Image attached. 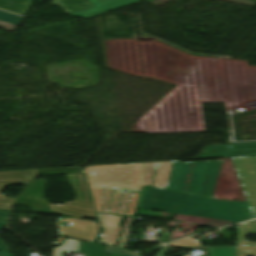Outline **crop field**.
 <instances>
[{
    "instance_id": "8a807250",
    "label": "crop field",
    "mask_w": 256,
    "mask_h": 256,
    "mask_svg": "<svg viewBox=\"0 0 256 256\" xmlns=\"http://www.w3.org/2000/svg\"><path fill=\"white\" fill-rule=\"evenodd\" d=\"M65 174L76 192V198L65 205H53L43 199L45 179L33 180L16 199L15 203L30 206L33 212L49 214V211L82 218H93L95 215L87 191L81 167L40 170L37 175Z\"/></svg>"
},
{
    "instance_id": "ac0d7876",
    "label": "crop field",
    "mask_w": 256,
    "mask_h": 256,
    "mask_svg": "<svg viewBox=\"0 0 256 256\" xmlns=\"http://www.w3.org/2000/svg\"><path fill=\"white\" fill-rule=\"evenodd\" d=\"M157 163L98 165L84 169L89 186L142 192L143 186H152Z\"/></svg>"
},
{
    "instance_id": "34b2d1b8",
    "label": "crop field",
    "mask_w": 256,
    "mask_h": 256,
    "mask_svg": "<svg viewBox=\"0 0 256 256\" xmlns=\"http://www.w3.org/2000/svg\"><path fill=\"white\" fill-rule=\"evenodd\" d=\"M222 160L174 161L166 190L211 198Z\"/></svg>"
},
{
    "instance_id": "412701ff",
    "label": "crop field",
    "mask_w": 256,
    "mask_h": 256,
    "mask_svg": "<svg viewBox=\"0 0 256 256\" xmlns=\"http://www.w3.org/2000/svg\"><path fill=\"white\" fill-rule=\"evenodd\" d=\"M177 213L240 222L252 219L245 202L213 200L188 195Z\"/></svg>"
},
{
    "instance_id": "f4fd0767",
    "label": "crop field",
    "mask_w": 256,
    "mask_h": 256,
    "mask_svg": "<svg viewBox=\"0 0 256 256\" xmlns=\"http://www.w3.org/2000/svg\"><path fill=\"white\" fill-rule=\"evenodd\" d=\"M96 212L132 216L139 193L89 187Z\"/></svg>"
},
{
    "instance_id": "dd49c442",
    "label": "crop field",
    "mask_w": 256,
    "mask_h": 256,
    "mask_svg": "<svg viewBox=\"0 0 256 256\" xmlns=\"http://www.w3.org/2000/svg\"><path fill=\"white\" fill-rule=\"evenodd\" d=\"M250 206L256 217V156L231 158Z\"/></svg>"
},
{
    "instance_id": "e52e79f7",
    "label": "crop field",
    "mask_w": 256,
    "mask_h": 256,
    "mask_svg": "<svg viewBox=\"0 0 256 256\" xmlns=\"http://www.w3.org/2000/svg\"><path fill=\"white\" fill-rule=\"evenodd\" d=\"M186 194L149 188L143 190L138 208L177 212Z\"/></svg>"
},
{
    "instance_id": "d8731c3e",
    "label": "crop field",
    "mask_w": 256,
    "mask_h": 256,
    "mask_svg": "<svg viewBox=\"0 0 256 256\" xmlns=\"http://www.w3.org/2000/svg\"><path fill=\"white\" fill-rule=\"evenodd\" d=\"M199 158L235 157L256 155V143L205 146Z\"/></svg>"
},
{
    "instance_id": "5a996713",
    "label": "crop field",
    "mask_w": 256,
    "mask_h": 256,
    "mask_svg": "<svg viewBox=\"0 0 256 256\" xmlns=\"http://www.w3.org/2000/svg\"><path fill=\"white\" fill-rule=\"evenodd\" d=\"M61 221L70 222L71 225L66 228L59 225ZM57 228L59 229L60 236L86 240V241H94L96 238V233L98 230V226L94 222L78 220L74 218H67L65 220H60L57 222Z\"/></svg>"
},
{
    "instance_id": "3316defc",
    "label": "crop field",
    "mask_w": 256,
    "mask_h": 256,
    "mask_svg": "<svg viewBox=\"0 0 256 256\" xmlns=\"http://www.w3.org/2000/svg\"><path fill=\"white\" fill-rule=\"evenodd\" d=\"M38 171L39 170L0 172V192L3 187H7L10 184H29ZM3 196L4 195H0V209L10 210L15 199Z\"/></svg>"
},
{
    "instance_id": "28ad6ade",
    "label": "crop field",
    "mask_w": 256,
    "mask_h": 256,
    "mask_svg": "<svg viewBox=\"0 0 256 256\" xmlns=\"http://www.w3.org/2000/svg\"><path fill=\"white\" fill-rule=\"evenodd\" d=\"M94 6L69 13L80 17H92L113 9H117L140 0H89Z\"/></svg>"
},
{
    "instance_id": "d1516ede",
    "label": "crop field",
    "mask_w": 256,
    "mask_h": 256,
    "mask_svg": "<svg viewBox=\"0 0 256 256\" xmlns=\"http://www.w3.org/2000/svg\"><path fill=\"white\" fill-rule=\"evenodd\" d=\"M169 246L181 249L208 248V256H237L236 246L202 247L201 244L194 240L192 237L174 242L169 244Z\"/></svg>"
},
{
    "instance_id": "22f410ed",
    "label": "crop field",
    "mask_w": 256,
    "mask_h": 256,
    "mask_svg": "<svg viewBox=\"0 0 256 256\" xmlns=\"http://www.w3.org/2000/svg\"><path fill=\"white\" fill-rule=\"evenodd\" d=\"M246 234H256V221L237 225V245H256L245 240Z\"/></svg>"
},
{
    "instance_id": "cbeb9de0",
    "label": "crop field",
    "mask_w": 256,
    "mask_h": 256,
    "mask_svg": "<svg viewBox=\"0 0 256 256\" xmlns=\"http://www.w3.org/2000/svg\"><path fill=\"white\" fill-rule=\"evenodd\" d=\"M32 0H0V8L24 15Z\"/></svg>"
},
{
    "instance_id": "5142ce71",
    "label": "crop field",
    "mask_w": 256,
    "mask_h": 256,
    "mask_svg": "<svg viewBox=\"0 0 256 256\" xmlns=\"http://www.w3.org/2000/svg\"><path fill=\"white\" fill-rule=\"evenodd\" d=\"M51 3L62 6L65 13L92 6L88 0H52Z\"/></svg>"
},
{
    "instance_id": "d9b57169",
    "label": "crop field",
    "mask_w": 256,
    "mask_h": 256,
    "mask_svg": "<svg viewBox=\"0 0 256 256\" xmlns=\"http://www.w3.org/2000/svg\"><path fill=\"white\" fill-rule=\"evenodd\" d=\"M79 247L80 241L66 238L60 247L53 248L52 256H62L61 252L64 250L79 251Z\"/></svg>"
},
{
    "instance_id": "733c2abd",
    "label": "crop field",
    "mask_w": 256,
    "mask_h": 256,
    "mask_svg": "<svg viewBox=\"0 0 256 256\" xmlns=\"http://www.w3.org/2000/svg\"><path fill=\"white\" fill-rule=\"evenodd\" d=\"M21 20H22V17H18L15 15L0 11V21L1 22L18 26V24L20 23Z\"/></svg>"
},
{
    "instance_id": "4a817a6b",
    "label": "crop field",
    "mask_w": 256,
    "mask_h": 256,
    "mask_svg": "<svg viewBox=\"0 0 256 256\" xmlns=\"http://www.w3.org/2000/svg\"><path fill=\"white\" fill-rule=\"evenodd\" d=\"M106 252L107 254L114 255V256H136L125 249L116 248L112 246H107Z\"/></svg>"
},
{
    "instance_id": "bc2a9ffb",
    "label": "crop field",
    "mask_w": 256,
    "mask_h": 256,
    "mask_svg": "<svg viewBox=\"0 0 256 256\" xmlns=\"http://www.w3.org/2000/svg\"><path fill=\"white\" fill-rule=\"evenodd\" d=\"M238 256H256V246H237Z\"/></svg>"
},
{
    "instance_id": "214f88e0",
    "label": "crop field",
    "mask_w": 256,
    "mask_h": 256,
    "mask_svg": "<svg viewBox=\"0 0 256 256\" xmlns=\"http://www.w3.org/2000/svg\"><path fill=\"white\" fill-rule=\"evenodd\" d=\"M9 211L0 210V229L6 226V216ZM9 250L5 244L0 240V251Z\"/></svg>"
},
{
    "instance_id": "92a150f3",
    "label": "crop field",
    "mask_w": 256,
    "mask_h": 256,
    "mask_svg": "<svg viewBox=\"0 0 256 256\" xmlns=\"http://www.w3.org/2000/svg\"><path fill=\"white\" fill-rule=\"evenodd\" d=\"M0 27L3 29H6V30L12 31V32H14V30L16 29L15 26L7 25V24L1 23V22H0Z\"/></svg>"
},
{
    "instance_id": "dafd665d",
    "label": "crop field",
    "mask_w": 256,
    "mask_h": 256,
    "mask_svg": "<svg viewBox=\"0 0 256 256\" xmlns=\"http://www.w3.org/2000/svg\"><path fill=\"white\" fill-rule=\"evenodd\" d=\"M166 250H167V247L161 248L160 251L156 254V256H163Z\"/></svg>"
},
{
    "instance_id": "00972430",
    "label": "crop field",
    "mask_w": 256,
    "mask_h": 256,
    "mask_svg": "<svg viewBox=\"0 0 256 256\" xmlns=\"http://www.w3.org/2000/svg\"><path fill=\"white\" fill-rule=\"evenodd\" d=\"M10 252H0V256H11Z\"/></svg>"
},
{
    "instance_id": "a9b5d70f",
    "label": "crop field",
    "mask_w": 256,
    "mask_h": 256,
    "mask_svg": "<svg viewBox=\"0 0 256 256\" xmlns=\"http://www.w3.org/2000/svg\"><path fill=\"white\" fill-rule=\"evenodd\" d=\"M146 1L150 2V1H152V0H146Z\"/></svg>"
}]
</instances>
